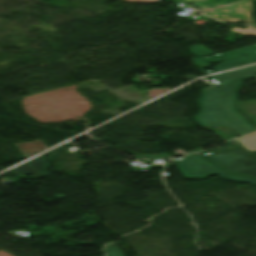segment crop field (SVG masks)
I'll return each instance as SVG.
<instances>
[{
	"mask_svg": "<svg viewBox=\"0 0 256 256\" xmlns=\"http://www.w3.org/2000/svg\"><path fill=\"white\" fill-rule=\"evenodd\" d=\"M43 155L25 163L22 164L14 169H12V171H14L17 175H19L22 178H31V177H25L23 174H27V173H31L34 176H36L35 178H39L45 175H49V173H47L45 170L47 169V167L49 166V164L47 163L46 159L42 157ZM32 178V179H35Z\"/></svg>",
	"mask_w": 256,
	"mask_h": 256,
	"instance_id": "crop-field-4",
	"label": "crop field"
},
{
	"mask_svg": "<svg viewBox=\"0 0 256 256\" xmlns=\"http://www.w3.org/2000/svg\"><path fill=\"white\" fill-rule=\"evenodd\" d=\"M254 75H256V66L211 76L217 85L202 90L199 101L201 111L193 119L202 126L229 127L241 135L256 131L234 109L242 80L252 78Z\"/></svg>",
	"mask_w": 256,
	"mask_h": 256,
	"instance_id": "crop-field-1",
	"label": "crop field"
},
{
	"mask_svg": "<svg viewBox=\"0 0 256 256\" xmlns=\"http://www.w3.org/2000/svg\"><path fill=\"white\" fill-rule=\"evenodd\" d=\"M203 156L223 170L256 178V164L245 167L238 160L234 158H227L222 152H211Z\"/></svg>",
	"mask_w": 256,
	"mask_h": 256,
	"instance_id": "crop-field-3",
	"label": "crop field"
},
{
	"mask_svg": "<svg viewBox=\"0 0 256 256\" xmlns=\"http://www.w3.org/2000/svg\"><path fill=\"white\" fill-rule=\"evenodd\" d=\"M173 162L176 163L182 175L187 177L188 179L210 174H217L223 178L230 179L236 182H244L256 185V180L225 172L200 156L191 155Z\"/></svg>",
	"mask_w": 256,
	"mask_h": 256,
	"instance_id": "crop-field-2",
	"label": "crop field"
},
{
	"mask_svg": "<svg viewBox=\"0 0 256 256\" xmlns=\"http://www.w3.org/2000/svg\"><path fill=\"white\" fill-rule=\"evenodd\" d=\"M226 156L228 157H246V158H253L251 156V154L249 153V151L241 146L239 148L236 149H232V150H228V151H224L223 152Z\"/></svg>",
	"mask_w": 256,
	"mask_h": 256,
	"instance_id": "crop-field-6",
	"label": "crop field"
},
{
	"mask_svg": "<svg viewBox=\"0 0 256 256\" xmlns=\"http://www.w3.org/2000/svg\"><path fill=\"white\" fill-rule=\"evenodd\" d=\"M240 160L245 166L256 163V159H245V158H236Z\"/></svg>",
	"mask_w": 256,
	"mask_h": 256,
	"instance_id": "crop-field-8",
	"label": "crop field"
},
{
	"mask_svg": "<svg viewBox=\"0 0 256 256\" xmlns=\"http://www.w3.org/2000/svg\"><path fill=\"white\" fill-rule=\"evenodd\" d=\"M104 251L108 253V256H123L122 251L118 250L113 244L104 246Z\"/></svg>",
	"mask_w": 256,
	"mask_h": 256,
	"instance_id": "crop-field-7",
	"label": "crop field"
},
{
	"mask_svg": "<svg viewBox=\"0 0 256 256\" xmlns=\"http://www.w3.org/2000/svg\"><path fill=\"white\" fill-rule=\"evenodd\" d=\"M237 139L251 152L252 156L256 158V155L254 153V151H256V132L243 135L242 137Z\"/></svg>",
	"mask_w": 256,
	"mask_h": 256,
	"instance_id": "crop-field-5",
	"label": "crop field"
}]
</instances>
